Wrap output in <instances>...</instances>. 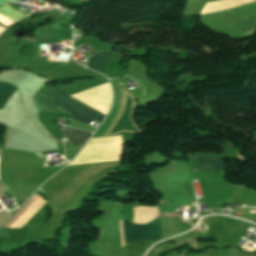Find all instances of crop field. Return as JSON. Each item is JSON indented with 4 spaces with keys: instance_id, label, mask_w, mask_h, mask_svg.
<instances>
[{
    "instance_id": "8a807250",
    "label": "crop field",
    "mask_w": 256,
    "mask_h": 256,
    "mask_svg": "<svg viewBox=\"0 0 256 256\" xmlns=\"http://www.w3.org/2000/svg\"><path fill=\"white\" fill-rule=\"evenodd\" d=\"M124 242L162 239L159 230V219L146 224L135 225L123 219ZM148 241L125 243L126 256H142Z\"/></svg>"
},
{
    "instance_id": "ac0d7876",
    "label": "crop field",
    "mask_w": 256,
    "mask_h": 256,
    "mask_svg": "<svg viewBox=\"0 0 256 256\" xmlns=\"http://www.w3.org/2000/svg\"><path fill=\"white\" fill-rule=\"evenodd\" d=\"M54 104L73 114L72 120L82 122L86 125L93 120L100 124L104 114L86 106L85 104L71 98L69 95L57 91Z\"/></svg>"
},
{
    "instance_id": "34b2d1b8",
    "label": "crop field",
    "mask_w": 256,
    "mask_h": 256,
    "mask_svg": "<svg viewBox=\"0 0 256 256\" xmlns=\"http://www.w3.org/2000/svg\"><path fill=\"white\" fill-rule=\"evenodd\" d=\"M198 164L192 169L195 172L225 171L224 163L219 155L213 153H195Z\"/></svg>"
},
{
    "instance_id": "412701ff",
    "label": "crop field",
    "mask_w": 256,
    "mask_h": 256,
    "mask_svg": "<svg viewBox=\"0 0 256 256\" xmlns=\"http://www.w3.org/2000/svg\"><path fill=\"white\" fill-rule=\"evenodd\" d=\"M39 196L34 195L4 226L10 227L22 214L23 212L38 198ZM44 200L40 197L25 211V213L11 226L19 228L24 221L37 209V207ZM45 203V201L39 206V208L26 220V222L40 209V207ZM25 222V223H26ZM24 223V224H25ZM23 224V225H24ZM22 225V226H23ZM21 226V227H22ZM20 227V228H21Z\"/></svg>"
},
{
    "instance_id": "f4fd0767",
    "label": "crop field",
    "mask_w": 256,
    "mask_h": 256,
    "mask_svg": "<svg viewBox=\"0 0 256 256\" xmlns=\"http://www.w3.org/2000/svg\"><path fill=\"white\" fill-rule=\"evenodd\" d=\"M111 51L99 52L88 59V68L102 72L105 61Z\"/></svg>"
},
{
    "instance_id": "dd49c442",
    "label": "crop field",
    "mask_w": 256,
    "mask_h": 256,
    "mask_svg": "<svg viewBox=\"0 0 256 256\" xmlns=\"http://www.w3.org/2000/svg\"><path fill=\"white\" fill-rule=\"evenodd\" d=\"M63 135H65L77 148L88 139L91 133L68 128Z\"/></svg>"
},
{
    "instance_id": "e52e79f7",
    "label": "crop field",
    "mask_w": 256,
    "mask_h": 256,
    "mask_svg": "<svg viewBox=\"0 0 256 256\" xmlns=\"http://www.w3.org/2000/svg\"><path fill=\"white\" fill-rule=\"evenodd\" d=\"M17 88L10 83L0 82V109Z\"/></svg>"
},
{
    "instance_id": "d8731c3e",
    "label": "crop field",
    "mask_w": 256,
    "mask_h": 256,
    "mask_svg": "<svg viewBox=\"0 0 256 256\" xmlns=\"http://www.w3.org/2000/svg\"><path fill=\"white\" fill-rule=\"evenodd\" d=\"M0 14L14 22L24 16L6 5L0 7Z\"/></svg>"
},
{
    "instance_id": "5a996713",
    "label": "crop field",
    "mask_w": 256,
    "mask_h": 256,
    "mask_svg": "<svg viewBox=\"0 0 256 256\" xmlns=\"http://www.w3.org/2000/svg\"><path fill=\"white\" fill-rule=\"evenodd\" d=\"M256 24V16L252 17L244 22H241L237 25H234L232 27L240 30L241 32H244L246 30H249L250 28H252L254 25Z\"/></svg>"
},
{
    "instance_id": "3316defc",
    "label": "crop field",
    "mask_w": 256,
    "mask_h": 256,
    "mask_svg": "<svg viewBox=\"0 0 256 256\" xmlns=\"http://www.w3.org/2000/svg\"><path fill=\"white\" fill-rule=\"evenodd\" d=\"M9 217L8 212L0 213V225Z\"/></svg>"
},
{
    "instance_id": "28ad6ade",
    "label": "crop field",
    "mask_w": 256,
    "mask_h": 256,
    "mask_svg": "<svg viewBox=\"0 0 256 256\" xmlns=\"http://www.w3.org/2000/svg\"><path fill=\"white\" fill-rule=\"evenodd\" d=\"M110 226H111V244L114 245V227H113L112 221L110 222Z\"/></svg>"
},
{
    "instance_id": "d1516ede",
    "label": "crop field",
    "mask_w": 256,
    "mask_h": 256,
    "mask_svg": "<svg viewBox=\"0 0 256 256\" xmlns=\"http://www.w3.org/2000/svg\"><path fill=\"white\" fill-rule=\"evenodd\" d=\"M6 189V187L0 182V194L3 193Z\"/></svg>"
},
{
    "instance_id": "22f410ed",
    "label": "crop field",
    "mask_w": 256,
    "mask_h": 256,
    "mask_svg": "<svg viewBox=\"0 0 256 256\" xmlns=\"http://www.w3.org/2000/svg\"><path fill=\"white\" fill-rule=\"evenodd\" d=\"M2 152H3V150H2V149H0V158H1V156H2Z\"/></svg>"
},
{
    "instance_id": "cbeb9de0",
    "label": "crop field",
    "mask_w": 256,
    "mask_h": 256,
    "mask_svg": "<svg viewBox=\"0 0 256 256\" xmlns=\"http://www.w3.org/2000/svg\"><path fill=\"white\" fill-rule=\"evenodd\" d=\"M4 30V28L0 27V33Z\"/></svg>"
},
{
    "instance_id": "5142ce71",
    "label": "crop field",
    "mask_w": 256,
    "mask_h": 256,
    "mask_svg": "<svg viewBox=\"0 0 256 256\" xmlns=\"http://www.w3.org/2000/svg\"><path fill=\"white\" fill-rule=\"evenodd\" d=\"M119 85H121V86H122V84H119Z\"/></svg>"
},
{
    "instance_id": "d9b57169",
    "label": "crop field",
    "mask_w": 256,
    "mask_h": 256,
    "mask_svg": "<svg viewBox=\"0 0 256 256\" xmlns=\"http://www.w3.org/2000/svg\"><path fill=\"white\" fill-rule=\"evenodd\" d=\"M14 210V209H13Z\"/></svg>"
}]
</instances>
